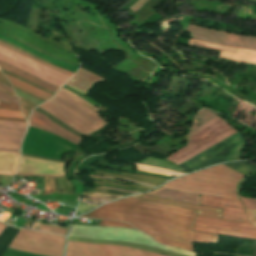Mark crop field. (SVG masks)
Instances as JSON below:
<instances>
[{
	"label": "crop field",
	"mask_w": 256,
	"mask_h": 256,
	"mask_svg": "<svg viewBox=\"0 0 256 256\" xmlns=\"http://www.w3.org/2000/svg\"><path fill=\"white\" fill-rule=\"evenodd\" d=\"M193 231L231 235L256 240V228L251 224L220 220L197 215Z\"/></svg>",
	"instance_id": "d8731c3e"
},
{
	"label": "crop field",
	"mask_w": 256,
	"mask_h": 256,
	"mask_svg": "<svg viewBox=\"0 0 256 256\" xmlns=\"http://www.w3.org/2000/svg\"><path fill=\"white\" fill-rule=\"evenodd\" d=\"M103 80L104 79L80 68L72 77V79L66 83V85L86 95L87 91L93 83Z\"/></svg>",
	"instance_id": "5142ce71"
},
{
	"label": "crop field",
	"mask_w": 256,
	"mask_h": 256,
	"mask_svg": "<svg viewBox=\"0 0 256 256\" xmlns=\"http://www.w3.org/2000/svg\"><path fill=\"white\" fill-rule=\"evenodd\" d=\"M19 154L0 152V174L14 175L17 170Z\"/></svg>",
	"instance_id": "bc2a9ffb"
},
{
	"label": "crop field",
	"mask_w": 256,
	"mask_h": 256,
	"mask_svg": "<svg viewBox=\"0 0 256 256\" xmlns=\"http://www.w3.org/2000/svg\"><path fill=\"white\" fill-rule=\"evenodd\" d=\"M0 60L58 87L62 86L70 77V75L42 66L3 47H0Z\"/></svg>",
	"instance_id": "e52e79f7"
},
{
	"label": "crop field",
	"mask_w": 256,
	"mask_h": 256,
	"mask_svg": "<svg viewBox=\"0 0 256 256\" xmlns=\"http://www.w3.org/2000/svg\"><path fill=\"white\" fill-rule=\"evenodd\" d=\"M0 45L4 46V47H6V48H9V49H11V50H13V51H15V52H18V53H20V54H22V55H24V56H26V57H29V58H31V59H33V60H35V61H37V62H39V63H41V64H43V65H45V66L54 68V69H56V70L62 71V72H64V73H67V74H70V75H73V73L67 72V71L62 70V69H60V68H58V67H55V66H51V65H49V64H47V63H45V62H43V61L37 60V59H35V58H33V57H31V56H29V55H27V54H25V53H23V52L17 50V49H15V48H13V47H11V46H9V45H6V44L1 43V42H0Z\"/></svg>",
	"instance_id": "4177f3b9"
},
{
	"label": "crop field",
	"mask_w": 256,
	"mask_h": 256,
	"mask_svg": "<svg viewBox=\"0 0 256 256\" xmlns=\"http://www.w3.org/2000/svg\"><path fill=\"white\" fill-rule=\"evenodd\" d=\"M5 76L11 82V84H13V85H15L17 87H20L22 89H25V90H27L29 92H32V93H34V94H36V95H38V96H40V97H42V98H44L46 100L53 96V94H50V93H47V92L42 91L40 89H37V88H35V87H33V86L29 85V84H26V83H24V82H22V81H20L18 79H15V78H13L11 76H8L6 74H5Z\"/></svg>",
	"instance_id": "92a150f3"
},
{
	"label": "crop field",
	"mask_w": 256,
	"mask_h": 256,
	"mask_svg": "<svg viewBox=\"0 0 256 256\" xmlns=\"http://www.w3.org/2000/svg\"><path fill=\"white\" fill-rule=\"evenodd\" d=\"M0 108H3V109H14V110H20L19 109V106L14 104V103H10L9 105L5 104V103H1L0 105Z\"/></svg>",
	"instance_id": "d32e631a"
},
{
	"label": "crop field",
	"mask_w": 256,
	"mask_h": 256,
	"mask_svg": "<svg viewBox=\"0 0 256 256\" xmlns=\"http://www.w3.org/2000/svg\"><path fill=\"white\" fill-rule=\"evenodd\" d=\"M217 115L218 113L205 108L197 113L190 129L188 145L166 159L178 165L222 139L236 133Z\"/></svg>",
	"instance_id": "412701ff"
},
{
	"label": "crop field",
	"mask_w": 256,
	"mask_h": 256,
	"mask_svg": "<svg viewBox=\"0 0 256 256\" xmlns=\"http://www.w3.org/2000/svg\"><path fill=\"white\" fill-rule=\"evenodd\" d=\"M17 175H28V174H17ZM29 176H47V175H29ZM48 177H65V176H48Z\"/></svg>",
	"instance_id": "0bd39190"
},
{
	"label": "crop field",
	"mask_w": 256,
	"mask_h": 256,
	"mask_svg": "<svg viewBox=\"0 0 256 256\" xmlns=\"http://www.w3.org/2000/svg\"><path fill=\"white\" fill-rule=\"evenodd\" d=\"M90 177L108 178V179H114L115 178V177H100V176H92V175H90ZM117 178H121V177H117ZM123 179H126V178H123ZM126 180H129L131 182H134V183H137V184H140V185L152 187V188L156 187L155 185H150V184H146V183H142V182H138V181H134V180H130V179H126Z\"/></svg>",
	"instance_id": "120bbe31"
},
{
	"label": "crop field",
	"mask_w": 256,
	"mask_h": 256,
	"mask_svg": "<svg viewBox=\"0 0 256 256\" xmlns=\"http://www.w3.org/2000/svg\"><path fill=\"white\" fill-rule=\"evenodd\" d=\"M96 172L98 174L108 175V176L118 175V174L107 173V172H99V171H96ZM121 176L128 177V178L135 179V180H139V181H143V182H147V183H151V184H155V185H158V184L166 181V179L150 177V176H143V175H137V174H131V173H125V172H123L121 174Z\"/></svg>",
	"instance_id": "dafd665d"
},
{
	"label": "crop field",
	"mask_w": 256,
	"mask_h": 256,
	"mask_svg": "<svg viewBox=\"0 0 256 256\" xmlns=\"http://www.w3.org/2000/svg\"><path fill=\"white\" fill-rule=\"evenodd\" d=\"M137 165V169L140 171H144V172H150V173H157V174H164V175H182L184 173H180V172H176V171H172V170H168V169H164V168H158V167H152V166H145V165Z\"/></svg>",
	"instance_id": "00972430"
},
{
	"label": "crop field",
	"mask_w": 256,
	"mask_h": 256,
	"mask_svg": "<svg viewBox=\"0 0 256 256\" xmlns=\"http://www.w3.org/2000/svg\"><path fill=\"white\" fill-rule=\"evenodd\" d=\"M0 100L6 102V103H8V104H9L11 101H13V102L19 104L18 99L14 98V97H12V96H10V95H8V94L2 92V91H0Z\"/></svg>",
	"instance_id": "bd1437ed"
},
{
	"label": "crop field",
	"mask_w": 256,
	"mask_h": 256,
	"mask_svg": "<svg viewBox=\"0 0 256 256\" xmlns=\"http://www.w3.org/2000/svg\"><path fill=\"white\" fill-rule=\"evenodd\" d=\"M29 125L39 129L49 131L75 144H78L81 139L76 135L72 134L71 132L67 131L66 129L52 123L46 116L41 115L35 111H33L31 115Z\"/></svg>",
	"instance_id": "cbeb9de0"
},
{
	"label": "crop field",
	"mask_w": 256,
	"mask_h": 256,
	"mask_svg": "<svg viewBox=\"0 0 256 256\" xmlns=\"http://www.w3.org/2000/svg\"><path fill=\"white\" fill-rule=\"evenodd\" d=\"M0 79H2V80H4V81L8 82L1 72H0Z\"/></svg>",
	"instance_id": "03da06ac"
},
{
	"label": "crop field",
	"mask_w": 256,
	"mask_h": 256,
	"mask_svg": "<svg viewBox=\"0 0 256 256\" xmlns=\"http://www.w3.org/2000/svg\"><path fill=\"white\" fill-rule=\"evenodd\" d=\"M0 126L26 129L27 128V123L0 121Z\"/></svg>",
	"instance_id": "ae1a2a85"
},
{
	"label": "crop field",
	"mask_w": 256,
	"mask_h": 256,
	"mask_svg": "<svg viewBox=\"0 0 256 256\" xmlns=\"http://www.w3.org/2000/svg\"><path fill=\"white\" fill-rule=\"evenodd\" d=\"M26 130L0 127V148L20 149Z\"/></svg>",
	"instance_id": "d9b57169"
},
{
	"label": "crop field",
	"mask_w": 256,
	"mask_h": 256,
	"mask_svg": "<svg viewBox=\"0 0 256 256\" xmlns=\"http://www.w3.org/2000/svg\"><path fill=\"white\" fill-rule=\"evenodd\" d=\"M0 151H5V152H18V153H20V150H7V149H0Z\"/></svg>",
	"instance_id": "c035e120"
},
{
	"label": "crop field",
	"mask_w": 256,
	"mask_h": 256,
	"mask_svg": "<svg viewBox=\"0 0 256 256\" xmlns=\"http://www.w3.org/2000/svg\"><path fill=\"white\" fill-rule=\"evenodd\" d=\"M5 228V225L0 223V233L2 232V230Z\"/></svg>",
	"instance_id": "b54c1fbb"
},
{
	"label": "crop field",
	"mask_w": 256,
	"mask_h": 256,
	"mask_svg": "<svg viewBox=\"0 0 256 256\" xmlns=\"http://www.w3.org/2000/svg\"><path fill=\"white\" fill-rule=\"evenodd\" d=\"M65 165L66 164L54 163L22 156L21 166L18 172L47 175H65Z\"/></svg>",
	"instance_id": "d1516ede"
},
{
	"label": "crop field",
	"mask_w": 256,
	"mask_h": 256,
	"mask_svg": "<svg viewBox=\"0 0 256 256\" xmlns=\"http://www.w3.org/2000/svg\"><path fill=\"white\" fill-rule=\"evenodd\" d=\"M0 67L2 69L8 70V71H10V72H12V73H14V74H16V75L26 79V80H29V81L37 84V85L45 87V88H47L49 90H52L54 92H56L58 90V87H56L54 85H51V84H49V83H47L45 81H42V80H40L38 78H35V77H33V76L29 75V74H26V73H24V72H22V71H20V70H18L16 68H13L11 66L5 65V64H3L1 62H0Z\"/></svg>",
	"instance_id": "214f88e0"
},
{
	"label": "crop field",
	"mask_w": 256,
	"mask_h": 256,
	"mask_svg": "<svg viewBox=\"0 0 256 256\" xmlns=\"http://www.w3.org/2000/svg\"><path fill=\"white\" fill-rule=\"evenodd\" d=\"M236 171L248 176L252 171L256 169V166L247 162H235V163H228L225 164Z\"/></svg>",
	"instance_id": "a9b5d70f"
},
{
	"label": "crop field",
	"mask_w": 256,
	"mask_h": 256,
	"mask_svg": "<svg viewBox=\"0 0 256 256\" xmlns=\"http://www.w3.org/2000/svg\"><path fill=\"white\" fill-rule=\"evenodd\" d=\"M10 216H11V214L5 212L3 215L0 216V220L4 222Z\"/></svg>",
	"instance_id": "028f5c9d"
},
{
	"label": "crop field",
	"mask_w": 256,
	"mask_h": 256,
	"mask_svg": "<svg viewBox=\"0 0 256 256\" xmlns=\"http://www.w3.org/2000/svg\"><path fill=\"white\" fill-rule=\"evenodd\" d=\"M99 225H104V226H117V227H131L130 225L126 224V223H121V222H117V221H108V220H101V222L99 223Z\"/></svg>",
	"instance_id": "d3111659"
},
{
	"label": "crop field",
	"mask_w": 256,
	"mask_h": 256,
	"mask_svg": "<svg viewBox=\"0 0 256 256\" xmlns=\"http://www.w3.org/2000/svg\"><path fill=\"white\" fill-rule=\"evenodd\" d=\"M98 188H112V189H117V188H113V187H98ZM118 190H122V189H118ZM123 191H128V190H123ZM128 192L137 193L138 191H128Z\"/></svg>",
	"instance_id": "c21b1889"
},
{
	"label": "crop field",
	"mask_w": 256,
	"mask_h": 256,
	"mask_svg": "<svg viewBox=\"0 0 256 256\" xmlns=\"http://www.w3.org/2000/svg\"><path fill=\"white\" fill-rule=\"evenodd\" d=\"M65 237L21 229L10 248L44 256H62Z\"/></svg>",
	"instance_id": "dd49c442"
},
{
	"label": "crop field",
	"mask_w": 256,
	"mask_h": 256,
	"mask_svg": "<svg viewBox=\"0 0 256 256\" xmlns=\"http://www.w3.org/2000/svg\"><path fill=\"white\" fill-rule=\"evenodd\" d=\"M189 44L197 47H201V48L221 51L220 57H219L221 59L256 64V51L212 45V44H207V43H203V42H199L191 39Z\"/></svg>",
	"instance_id": "22f410ed"
},
{
	"label": "crop field",
	"mask_w": 256,
	"mask_h": 256,
	"mask_svg": "<svg viewBox=\"0 0 256 256\" xmlns=\"http://www.w3.org/2000/svg\"><path fill=\"white\" fill-rule=\"evenodd\" d=\"M134 197L164 202V203H168V204H172V205L188 207V208L198 210L197 214H199V215L210 216V217L222 219V209H216V208H210V207H204V206H194V205L185 204V203H181V202L159 199V198H155V197H152L149 195H138V196H134Z\"/></svg>",
	"instance_id": "4a817a6b"
},
{
	"label": "crop field",
	"mask_w": 256,
	"mask_h": 256,
	"mask_svg": "<svg viewBox=\"0 0 256 256\" xmlns=\"http://www.w3.org/2000/svg\"><path fill=\"white\" fill-rule=\"evenodd\" d=\"M46 191L43 194H51L54 190L52 178H44Z\"/></svg>",
	"instance_id": "1d83c4d3"
},
{
	"label": "crop field",
	"mask_w": 256,
	"mask_h": 256,
	"mask_svg": "<svg viewBox=\"0 0 256 256\" xmlns=\"http://www.w3.org/2000/svg\"><path fill=\"white\" fill-rule=\"evenodd\" d=\"M80 102H83L98 112L100 111L78 96L62 88L53 99L38 107L82 134L95 132L108 124L100 118L99 113Z\"/></svg>",
	"instance_id": "34b2d1b8"
},
{
	"label": "crop field",
	"mask_w": 256,
	"mask_h": 256,
	"mask_svg": "<svg viewBox=\"0 0 256 256\" xmlns=\"http://www.w3.org/2000/svg\"><path fill=\"white\" fill-rule=\"evenodd\" d=\"M1 71V70H0Z\"/></svg>",
	"instance_id": "5d738f31"
},
{
	"label": "crop field",
	"mask_w": 256,
	"mask_h": 256,
	"mask_svg": "<svg viewBox=\"0 0 256 256\" xmlns=\"http://www.w3.org/2000/svg\"><path fill=\"white\" fill-rule=\"evenodd\" d=\"M157 197L167 198L176 201H182L194 205H199V195L184 193L169 189L160 188L151 193H146Z\"/></svg>",
	"instance_id": "733c2abd"
},
{
	"label": "crop field",
	"mask_w": 256,
	"mask_h": 256,
	"mask_svg": "<svg viewBox=\"0 0 256 256\" xmlns=\"http://www.w3.org/2000/svg\"><path fill=\"white\" fill-rule=\"evenodd\" d=\"M85 196L93 197V198H98V199H106V200L114 199V198H105V197H97V196H89V195H85Z\"/></svg>",
	"instance_id": "b80d0937"
},
{
	"label": "crop field",
	"mask_w": 256,
	"mask_h": 256,
	"mask_svg": "<svg viewBox=\"0 0 256 256\" xmlns=\"http://www.w3.org/2000/svg\"><path fill=\"white\" fill-rule=\"evenodd\" d=\"M0 116L23 118L21 112L0 110Z\"/></svg>",
	"instance_id": "750c4746"
},
{
	"label": "crop field",
	"mask_w": 256,
	"mask_h": 256,
	"mask_svg": "<svg viewBox=\"0 0 256 256\" xmlns=\"http://www.w3.org/2000/svg\"><path fill=\"white\" fill-rule=\"evenodd\" d=\"M66 256H163L157 253L114 245L68 241Z\"/></svg>",
	"instance_id": "5a996713"
},
{
	"label": "crop field",
	"mask_w": 256,
	"mask_h": 256,
	"mask_svg": "<svg viewBox=\"0 0 256 256\" xmlns=\"http://www.w3.org/2000/svg\"><path fill=\"white\" fill-rule=\"evenodd\" d=\"M38 230L65 235L67 229L41 224Z\"/></svg>",
	"instance_id": "730fd06b"
},
{
	"label": "crop field",
	"mask_w": 256,
	"mask_h": 256,
	"mask_svg": "<svg viewBox=\"0 0 256 256\" xmlns=\"http://www.w3.org/2000/svg\"><path fill=\"white\" fill-rule=\"evenodd\" d=\"M201 204L223 208V219L249 223L241 201L202 195Z\"/></svg>",
	"instance_id": "28ad6ade"
},
{
	"label": "crop field",
	"mask_w": 256,
	"mask_h": 256,
	"mask_svg": "<svg viewBox=\"0 0 256 256\" xmlns=\"http://www.w3.org/2000/svg\"><path fill=\"white\" fill-rule=\"evenodd\" d=\"M246 176L221 164L166 183L163 187L184 192L239 200L237 182Z\"/></svg>",
	"instance_id": "ac0d7876"
},
{
	"label": "crop field",
	"mask_w": 256,
	"mask_h": 256,
	"mask_svg": "<svg viewBox=\"0 0 256 256\" xmlns=\"http://www.w3.org/2000/svg\"><path fill=\"white\" fill-rule=\"evenodd\" d=\"M246 143L237 133L178 166L187 173L214 163L240 159Z\"/></svg>",
	"instance_id": "f4fd0767"
},
{
	"label": "crop field",
	"mask_w": 256,
	"mask_h": 256,
	"mask_svg": "<svg viewBox=\"0 0 256 256\" xmlns=\"http://www.w3.org/2000/svg\"><path fill=\"white\" fill-rule=\"evenodd\" d=\"M186 30L191 31L190 36L202 41H208L224 46L247 48L256 50V37L231 34L188 24Z\"/></svg>",
	"instance_id": "3316defc"
},
{
	"label": "crop field",
	"mask_w": 256,
	"mask_h": 256,
	"mask_svg": "<svg viewBox=\"0 0 256 256\" xmlns=\"http://www.w3.org/2000/svg\"><path fill=\"white\" fill-rule=\"evenodd\" d=\"M0 120H11V121H22V122H26L25 119H18V118H2V117H0Z\"/></svg>",
	"instance_id": "5866460e"
},
{
	"label": "crop field",
	"mask_w": 256,
	"mask_h": 256,
	"mask_svg": "<svg viewBox=\"0 0 256 256\" xmlns=\"http://www.w3.org/2000/svg\"><path fill=\"white\" fill-rule=\"evenodd\" d=\"M244 204V208L248 210H256V199L239 197Z\"/></svg>",
	"instance_id": "eef30255"
},
{
	"label": "crop field",
	"mask_w": 256,
	"mask_h": 256,
	"mask_svg": "<svg viewBox=\"0 0 256 256\" xmlns=\"http://www.w3.org/2000/svg\"><path fill=\"white\" fill-rule=\"evenodd\" d=\"M0 87H2V88H4V89H6V90H8V91H10V92H12V93H14L13 90H12V88H10V87H8V86L2 84V83H0Z\"/></svg>",
	"instance_id": "e1f06a70"
},
{
	"label": "crop field",
	"mask_w": 256,
	"mask_h": 256,
	"mask_svg": "<svg viewBox=\"0 0 256 256\" xmlns=\"http://www.w3.org/2000/svg\"><path fill=\"white\" fill-rule=\"evenodd\" d=\"M195 216L194 210L127 197L81 217L123 220L163 244L193 251L192 242L216 243L218 237L192 232Z\"/></svg>",
	"instance_id": "8a807250"
}]
</instances>
